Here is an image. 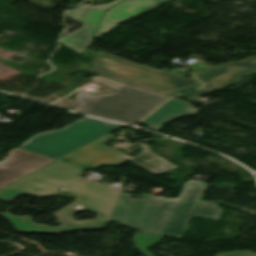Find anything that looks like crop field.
<instances>
[{
  "label": "crop field",
  "instance_id": "obj_1",
  "mask_svg": "<svg viewBox=\"0 0 256 256\" xmlns=\"http://www.w3.org/2000/svg\"><path fill=\"white\" fill-rule=\"evenodd\" d=\"M206 185L188 184L180 202L130 197L122 192L111 221L144 231L182 238L192 216L218 220L223 210L217 204L199 201Z\"/></svg>",
  "mask_w": 256,
  "mask_h": 256
},
{
  "label": "crop field",
  "instance_id": "obj_2",
  "mask_svg": "<svg viewBox=\"0 0 256 256\" xmlns=\"http://www.w3.org/2000/svg\"><path fill=\"white\" fill-rule=\"evenodd\" d=\"M67 192H71L77 195V197L73 204L54 213L62 226L52 228L47 225L35 224L30 217H14L9 211L1 215L8 218L18 232L54 234L83 229H102L107 225L121 193L119 190L99 186L83 180ZM76 205L82 209L76 208ZM81 210L95 212L98 215L93 220L76 222L72 216Z\"/></svg>",
  "mask_w": 256,
  "mask_h": 256
},
{
  "label": "crop field",
  "instance_id": "obj_3",
  "mask_svg": "<svg viewBox=\"0 0 256 256\" xmlns=\"http://www.w3.org/2000/svg\"><path fill=\"white\" fill-rule=\"evenodd\" d=\"M92 80L117 91L98 97L79 92L76 99L81 104L73 109L74 111L133 124L167 98V96L98 76H95Z\"/></svg>",
  "mask_w": 256,
  "mask_h": 256
},
{
  "label": "crop field",
  "instance_id": "obj_4",
  "mask_svg": "<svg viewBox=\"0 0 256 256\" xmlns=\"http://www.w3.org/2000/svg\"><path fill=\"white\" fill-rule=\"evenodd\" d=\"M121 126L84 117L63 129L35 135L18 148L58 159Z\"/></svg>",
  "mask_w": 256,
  "mask_h": 256
},
{
  "label": "crop field",
  "instance_id": "obj_5",
  "mask_svg": "<svg viewBox=\"0 0 256 256\" xmlns=\"http://www.w3.org/2000/svg\"><path fill=\"white\" fill-rule=\"evenodd\" d=\"M90 72L168 95L173 90L200 84V82L149 69L101 51Z\"/></svg>",
  "mask_w": 256,
  "mask_h": 256
},
{
  "label": "crop field",
  "instance_id": "obj_6",
  "mask_svg": "<svg viewBox=\"0 0 256 256\" xmlns=\"http://www.w3.org/2000/svg\"><path fill=\"white\" fill-rule=\"evenodd\" d=\"M112 140L118 139L108 135L59 161L89 169L105 164L117 165L128 159L147 170H151V173L154 174H161L166 170L177 167L158 157L144 144H139L143 149V154L133 158L103 145L106 141Z\"/></svg>",
  "mask_w": 256,
  "mask_h": 256
},
{
  "label": "crop field",
  "instance_id": "obj_7",
  "mask_svg": "<svg viewBox=\"0 0 256 256\" xmlns=\"http://www.w3.org/2000/svg\"><path fill=\"white\" fill-rule=\"evenodd\" d=\"M85 169L54 162L37 172L0 190V199L10 200L21 194L38 197L57 195L60 188L67 189L77 182ZM43 187V189H41Z\"/></svg>",
  "mask_w": 256,
  "mask_h": 256
},
{
  "label": "crop field",
  "instance_id": "obj_8",
  "mask_svg": "<svg viewBox=\"0 0 256 256\" xmlns=\"http://www.w3.org/2000/svg\"><path fill=\"white\" fill-rule=\"evenodd\" d=\"M256 72V57L226 64L214 69L194 73V76L205 83L213 86L176 97L191 98L217 90L225 89V86L241 82L242 76L249 75Z\"/></svg>",
  "mask_w": 256,
  "mask_h": 256
},
{
  "label": "crop field",
  "instance_id": "obj_9",
  "mask_svg": "<svg viewBox=\"0 0 256 256\" xmlns=\"http://www.w3.org/2000/svg\"><path fill=\"white\" fill-rule=\"evenodd\" d=\"M120 1L122 0L97 6L86 4L67 11L66 16L81 23L84 27L62 37L61 43L80 54L92 42L91 35L106 9Z\"/></svg>",
  "mask_w": 256,
  "mask_h": 256
},
{
  "label": "crop field",
  "instance_id": "obj_10",
  "mask_svg": "<svg viewBox=\"0 0 256 256\" xmlns=\"http://www.w3.org/2000/svg\"><path fill=\"white\" fill-rule=\"evenodd\" d=\"M53 161L21 149L13 150L8 158L0 162V188Z\"/></svg>",
  "mask_w": 256,
  "mask_h": 256
},
{
  "label": "crop field",
  "instance_id": "obj_11",
  "mask_svg": "<svg viewBox=\"0 0 256 256\" xmlns=\"http://www.w3.org/2000/svg\"><path fill=\"white\" fill-rule=\"evenodd\" d=\"M167 0H126L118 6L110 9L97 30L95 37H99L117 25L133 19L142 14L148 13L162 4Z\"/></svg>",
  "mask_w": 256,
  "mask_h": 256
},
{
  "label": "crop field",
  "instance_id": "obj_12",
  "mask_svg": "<svg viewBox=\"0 0 256 256\" xmlns=\"http://www.w3.org/2000/svg\"><path fill=\"white\" fill-rule=\"evenodd\" d=\"M198 111L199 109L192 108L189 103L172 98L154 111L141 124L159 130L167 122H171L178 117L195 115Z\"/></svg>",
  "mask_w": 256,
  "mask_h": 256
},
{
  "label": "crop field",
  "instance_id": "obj_13",
  "mask_svg": "<svg viewBox=\"0 0 256 256\" xmlns=\"http://www.w3.org/2000/svg\"><path fill=\"white\" fill-rule=\"evenodd\" d=\"M162 238L163 236L161 235L141 232L137 237L136 244L137 247H139L147 256H153L149 251L146 250V248L153 245Z\"/></svg>",
  "mask_w": 256,
  "mask_h": 256
},
{
  "label": "crop field",
  "instance_id": "obj_14",
  "mask_svg": "<svg viewBox=\"0 0 256 256\" xmlns=\"http://www.w3.org/2000/svg\"><path fill=\"white\" fill-rule=\"evenodd\" d=\"M199 87H201V84L200 85H196V86H192V87H189V88H185V89H182V90L174 91L170 95L181 93V92H185V91H189V90H193V89H197Z\"/></svg>",
  "mask_w": 256,
  "mask_h": 256
}]
</instances>
